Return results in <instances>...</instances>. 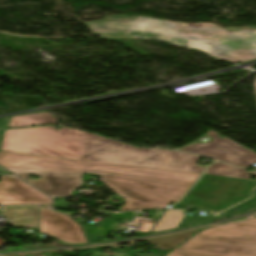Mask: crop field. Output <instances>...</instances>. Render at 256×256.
<instances>
[{"mask_svg": "<svg viewBox=\"0 0 256 256\" xmlns=\"http://www.w3.org/2000/svg\"><path fill=\"white\" fill-rule=\"evenodd\" d=\"M0 151L197 173L205 169L195 166L200 156L164 149H143L68 127L5 131Z\"/></svg>", "mask_w": 256, "mask_h": 256, "instance_id": "crop-field-1", "label": "crop field"}, {"mask_svg": "<svg viewBox=\"0 0 256 256\" xmlns=\"http://www.w3.org/2000/svg\"><path fill=\"white\" fill-rule=\"evenodd\" d=\"M0 165L14 173L82 172L126 198L121 210L164 208L178 202L200 174L0 152Z\"/></svg>", "mask_w": 256, "mask_h": 256, "instance_id": "crop-field-2", "label": "crop field"}, {"mask_svg": "<svg viewBox=\"0 0 256 256\" xmlns=\"http://www.w3.org/2000/svg\"><path fill=\"white\" fill-rule=\"evenodd\" d=\"M82 180L31 182L51 196L71 195L72 190L81 185Z\"/></svg>", "mask_w": 256, "mask_h": 256, "instance_id": "crop-field-10", "label": "crop field"}, {"mask_svg": "<svg viewBox=\"0 0 256 256\" xmlns=\"http://www.w3.org/2000/svg\"><path fill=\"white\" fill-rule=\"evenodd\" d=\"M1 204H51L50 198L16 177L2 176Z\"/></svg>", "mask_w": 256, "mask_h": 256, "instance_id": "crop-field-8", "label": "crop field"}, {"mask_svg": "<svg viewBox=\"0 0 256 256\" xmlns=\"http://www.w3.org/2000/svg\"><path fill=\"white\" fill-rule=\"evenodd\" d=\"M166 256H256V219L204 230Z\"/></svg>", "mask_w": 256, "mask_h": 256, "instance_id": "crop-field-4", "label": "crop field"}, {"mask_svg": "<svg viewBox=\"0 0 256 256\" xmlns=\"http://www.w3.org/2000/svg\"><path fill=\"white\" fill-rule=\"evenodd\" d=\"M55 123L52 116L48 112L36 113L24 116H14L11 117V122L7 128L12 127H24L33 126L39 124H51Z\"/></svg>", "mask_w": 256, "mask_h": 256, "instance_id": "crop-field-11", "label": "crop field"}, {"mask_svg": "<svg viewBox=\"0 0 256 256\" xmlns=\"http://www.w3.org/2000/svg\"><path fill=\"white\" fill-rule=\"evenodd\" d=\"M2 216L14 226L23 225L38 228V207L5 206L2 208Z\"/></svg>", "mask_w": 256, "mask_h": 256, "instance_id": "crop-field-9", "label": "crop field"}, {"mask_svg": "<svg viewBox=\"0 0 256 256\" xmlns=\"http://www.w3.org/2000/svg\"><path fill=\"white\" fill-rule=\"evenodd\" d=\"M184 216L183 211L167 210L151 232L174 229L181 222Z\"/></svg>", "mask_w": 256, "mask_h": 256, "instance_id": "crop-field-14", "label": "crop field"}, {"mask_svg": "<svg viewBox=\"0 0 256 256\" xmlns=\"http://www.w3.org/2000/svg\"><path fill=\"white\" fill-rule=\"evenodd\" d=\"M196 232H198V231L195 230V231L185 232V233H181V234L171 235V236L164 237V239L156 238V239L148 240V242H150L151 244H153L165 251H169V250L179 246L183 242H185Z\"/></svg>", "mask_w": 256, "mask_h": 256, "instance_id": "crop-field-12", "label": "crop field"}, {"mask_svg": "<svg viewBox=\"0 0 256 256\" xmlns=\"http://www.w3.org/2000/svg\"><path fill=\"white\" fill-rule=\"evenodd\" d=\"M0 174H10V173L5 171L4 169L0 168Z\"/></svg>", "mask_w": 256, "mask_h": 256, "instance_id": "crop-field-19", "label": "crop field"}, {"mask_svg": "<svg viewBox=\"0 0 256 256\" xmlns=\"http://www.w3.org/2000/svg\"><path fill=\"white\" fill-rule=\"evenodd\" d=\"M28 174H34L40 177L36 180L30 179V181L82 179V174L21 173L17 175L21 176L24 179H29L27 177Z\"/></svg>", "mask_w": 256, "mask_h": 256, "instance_id": "crop-field-15", "label": "crop field"}, {"mask_svg": "<svg viewBox=\"0 0 256 256\" xmlns=\"http://www.w3.org/2000/svg\"><path fill=\"white\" fill-rule=\"evenodd\" d=\"M216 218L218 217L217 216H186L182 220V222L179 224L178 228L200 224V223L211 222V221H214Z\"/></svg>", "mask_w": 256, "mask_h": 256, "instance_id": "crop-field-17", "label": "crop field"}, {"mask_svg": "<svg viewBox=\"0 0 256 256\" xmlns=\"http://www.w3.org/2000/svg\"><path fill=\"white\" fill-rule=\"evenodd\" d=\"M250 200L251 199H249V200H247L245 202H242L240 204H237V205H235V206H233V207L223 211V212H226L225 214H223L222 212L218 213V212H214V211H210V210H206V209L194 208V207H191V206H190V208L199 209V210L208 211V212H214V213H218V214H220L222 216H225V215L230 214L232 210H234V209H236V208H238V207H240V206H242L244 204H248L250 202ZM253 209H256V198H254V201L251 202L248 206H245V207H243V208H241V209H239L237 211H234L233 214L230 215V216H233V215H236V214H240V213H243V212H246V211H250V210H253Z\"/></svg>", "mask_w": 256, "mask_h": 256, "instance_id": "crop-field-16", "label": "crop field"}, {"mask_svg": "<svg viewBox=\"0 0 256 256\" xmlns=\"http://www.w3.org/2000/svg\"><path fill=\"white\" fill-rule=\"evenodd\" d=\"M86 25L106 36H142L170 41L204 51L218 58L242 63L256 59V30L227 32L211 23L183 24L138 16H106Z\"/></svg>", "mask_w": 256, "mask_h": 256, "instance_id": "crop-field-3", "label": "crop field"}, {"mask_svg": "<svg viewBox=\"0 0 256 256\" xmlns=\"http://www.w3.org/2000/svg\"><path fill=\"white\" fill-rule=\"evenodd\" d=\"M207 134L213 138L211 142L193 144L181 150L197 153L242 167L256 163V153L247 150L229 139L218 138L214 131H208Z\"/></svg>", "mask_w": 256, "mask_h": 256, "instance_id": "crop-field-6", "label": "crop field"}, {"mask_svg": "<svg viewBox=\"0 0 256 256\" xmlns=\"http://www.w3.org/2000/svg\"><path fill=\"white\" fill-rule=\"evenodd\" d=\"M254 87H255V93H256V79H255V82H254Z\"/></svg>", "mask_w": 256, "mask_h": 256, "instance_id": "crop-field-20", "label": "crop field"}, {"mask_svg": "<svg viewBox=\"0 0 256 256\" xmlns=\"http://www.w3.org/2000/svg\"><path fill=\"white\" fill-rule=\"evenodd\" d=\"M204 173L225 176V177L250 179L245 169L225 165V164L218 163V162H215Z\"/></svg>", "mask_w": 256, "mask_h": 256, "instance_id": "crop-field-13", "label": "crop field"}, {"mask_svg": "<svg viewBox=\"0 0 256 256\" xmlns=\"http://www.w3.org/2000/svg\"><path fill=\"white\" fill-rule=\"evenodd\" d=\"M256 216V215H255Z\"/></svg>", "mask_w": 256, "mask_h": 256, "instance_id": "crop-field-21", "label": "crop field"}, {"mask_svg": "<svg viewBox=\"0 0 256 256\" xmlns=\"http://www.w3.org/2000/svg\"><path fill=\"white\" fill-rule=\"evenodd\" d=\"M184 207L186 208V206L181 205V204H176L173 208H177V209H184Z\"/></svg>", "mask_w": 256, "mask_h": 256, "instance_id": "crop-field-18", "label": "crop field"}, {"mask_svg": "<svg viewBox=\"0 0 256 256\" xmlns=\"http://www.w3.org/2000/svg\"><path fill=\"white\" fill-rule=\"evenodd\" d=\"M256 181L203 174L180 202L221 212L252 197Z\"/></svg>", "mask_w": 256, "mask_h": 256, "instance_id": "crop-field-5", "label": "crop field"}, {"mask_svg": "<svg viewBox=\"0 0 256 256\" xmlns=\"http://www.w3.org/2000/svg\"><path fill=\"white\" fill-rule=\"evenodd\" d=\"M41 233L71 244L86 243L81 226L64 214L41 209Z\"/></svg>", "mask_w": 256, "mask_h": 256, "instance_id": "crop-field-7", "label": "crop field"}]
</instances>
